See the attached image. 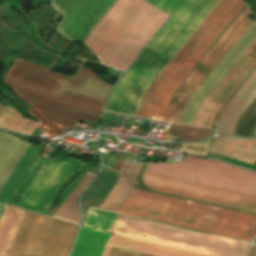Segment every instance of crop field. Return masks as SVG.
I'll list each match as a JSON object with an SVG mask.
<instances>
[{
	"label": "crop field",
	"instance_id": "obj_1",
	"mask_svg": "<svg viewBox=\"0 0 256 256\" xmlns=\"http://www.w3.org/2000/svg\"><path fill=\"white\" fill-rule=\"evenodd\" d=\"M3 81L31 106L37 129L57 136L80 119L96 122L111 87L88 69L70 79L18 58Z\"/></svg>",
	"mask_w": 256,
	"mask_h": 256
},
{
	"label": "crop field",
	"instance_id": "obj_2",
	"mask_svg": "<svg viewBox=\"0 0 256 256\" xmlns=\"http://www.w3.org/2000/svg\"><path fill=\"white\" fill-rule=\"evenodd\" d=\"M156 192L256 213V173L187 155L176 164L148 163L142 175Z\"/></svg>",
	"mask_w": 256,
	"mask_h": 256
},
{
	"label": "crop field",
	"instance_id": "obj_3",
	"mask_svg": "<svg viewBox=\"0 0 256 256\" xmlns=\"http://www.w3.org/2000/svg\"><path fill=\"white\" fill-rule=\"evenodd\" d=\"M118 213L252 241L256 216L132 189Z\"/></svg>",
	"mask_w": 256,
	"mask_h": 256
},
{
	"label": "crop field",
	"instance_id": "obj_4",
	"mask_svg": "<svg viewBox=\"0 0 256 256\" xmlns=\"http://www.w3.org/2000/svg\"><path fill=\"white\" fill-rule=\"evenodd\" d=\"M250 12L246 6L206 57L201 61L189 78L174 95L162 121L178 123L189 99L225 57L233 45L251 25L244 18ZM243 55V54H242ZM243 57L256 61V39ZM241 57L222 82L201 106L192 125L210 128L215 115L240 81L253 68L256 62ZM242 82V81H241ZM191 100V99H190Z\"/></svg>",
	"mask_w": 256,
	"mask_h": 256
},
{
	"label": "crop field",
	"instance_id": "obj_5",
	"mask_svg": "<svg viewBox=\"0 0 256 256\" xmlns=\"http://www.w3.org/2000/svg\"><path fill=\"white\" fill-rule=\"evenodd\" d=\"M245 5L241 0H220L148 88L135 116L162 120L176 89Z\"/></svg>",
	"mask_w": 256,
	"mask_h": 256
},
{
	"label": "crop field",
	"instance_id": "obj_6",
	"mask_svg": "<svg viewBox=\"0 0 256 256\" xmlns=\"http://www.w3.org/2000/svg\"><path fill=\"white\" fill-rule=\"evenodd\" d=\"M165 18L141 0H117L85 42L104 64L125 70Z\"/></svg>",
	"mask_w": 256,
	"mask_h": 256
},
{
	"label": "crop field",
	"instance_id": "obj_7",
	"mask_svg": "<svg viewBox=\"0 0 256 256\" xmlns=\"http://www.w3.org/2000/svg\"><path fill=\"white\" fill-rule=\"evenodd\" d=\"M77 228L7 206L0 221V256H68Z\"/></svg>",
	"mask_w": 256,
	"mask_h": 256
},
{
	"label": "crop field",
	"instance_id": "obj_8",
	"mask_svg": "<svg viewBox=\"0 0 256 256\" xmlns=\"http://www.w3.org/2000/svg\"><path fill=\"white\" fill-rule=\"evenodd\" d=\"M114 236L204 256H245L249 243L176 229L118 215L109 230Z\"/></svg>",
	"mask_w": 256,
	"mask_h": 256
},
{
	"label": "crop field",
	"instance_id": "obj_9",
	"mask_svg": "<svg viewBox=\"0 0 256 256\" xmlns=\"http://www.w3.org/2000/svg\"><path fill=\"white\" fill-rule=\"evenodd\" d=\"M219 0H186L146 51L171 59Z\"/></svg>",
	"mask_w": 256,
	"mask_h": 256
},
{
	"label": "crop field",
	"instance_id": "obj_10",
	"mask_svg": "<svg viewBox=\"0 0 256 256\" xmlns=\"http://www.w3.org/2000/svg\"><path fill=\"white\" fill-rule=\"evenodd\" d=\"M51 1L54 7L62 11L65 16L59 28L61 33L70 39L81 41H84L94 24L114 2V0Z\"/></svg>",
	"mask_w": 256,
	"mask_h": 256
},
{
	"label": "crop field",
	"instance_id": "obj_11",
	"mask_svg": "<svg viewBox=\"0 0 256 256\" xmlns=\"http://www.w3.org/2000/svg\"><path fill=\"white\" fill-rule=\"evenodd\" d=\"M255 98L256 68L220 111L215 121L219 129L218 134L232 135L240 117Z\"/></svg>",
	"mask_w": 256,
	"mask_h": 256
},
{
	"label": "crop field",
	"instance_id": "obj_12",
	"mask_svg": "<svg viewBox=\"0 0 256 256\" xmlns=\"http://www.w3.org/2000/svg\"><path fill=\"white\" fill-rule=\"evenodd\" d=\"M209 152L254 164L256 160V141L217 137Z\"/></svg>",
	"mask_w": 256,
	"mask_h": 256
},
{
	"label": "crop field",
	"instance_id": "obj_13",
	"mask_svg": "<svg viewBox=\"0 0 256 256\" xmlns=\"http://www.w3.org/2000/svg\"><path fill=\"white\" fill-rule=\"evenodd\" d=\"M142 167L143 164L133 165L126 163L117 183L106 197L100 208L116 212L123 200L131 191Z\"/></svg>",
	"mask_w": 256,
	"mask_h": 256
},
{
	"label": "crop field",
	"instance_id": "obj_14",
	"mask_svg": "<svg viewBox=\"0 0 256 256\" xmlns=\"http://www.w3.org/2000/svg\"><path fill=\"white\" fill-rule=\"evenodd\" d=\"M110 235L82 226L72 256H101Z\"/></svg>",
	"mask_w": 256,
	"mask_h": 256
},
{
	"label": "crop field",
	"instance_id": "obj_15",
	"mask_svg": "<svg viewBox=\"0 0 256 256\" xmlns=\"http://www.w3.org/2000/svg\"><path fill=\"white\" fill-rule=\"evenodd\" d=\"M107 245L122 248V249H127V250L138 251V252H142V253H146L154 256H199L195 254H190L186 252H181L177 250H172L168 248H163V247L136 242L132 240H127L123 238H118L114 236H111Z\"/></svg>",
	"mask_w": 256,
	"mask_h": 256
},
{
	"label": "crop field",
	"instance_id": "obj_16",
	"mask_svg": "<svg viewBox=\"0 0 256 256\" xmlns=\"http://www.w3.org/2000/svg\"><path fill=\"white\" fill-rule=\"evenodd\" d=\"M92 178L93 177L88 173L86 174V176L81 180V182L59 207L54 217L76 223L80 222V212L78 210L76 200Z\"/></svg>",
	"mask_w": 256,
	"mask_h": 256
},
{
	"label": "crop field",
	"instance_id": "obj_17",
	"mask_svg": "<svg viewBox=\"0 0 256 256\" xmlns=\"http://www.w3.org/2000/svg\"><path fill=\"white\" fill-rule=\"evenodd\" d=\"M40 148L30 145L24 156L22 157L21 161L3 186L2 190L0 191V203L5 204L8 197L16 187L17 183L25 173L26 169L34 159L35 155L39 151Z\"/></svg>",
	"mask_w": 256,
	"mask_h": 256
},
{
	"label": "crop field",
	"instance_id": "obj_18",
	"mask_svg": "<svg viewBox=\"0 0 256 256\" xmlns=\"http://www.w3.org/2000/svg\"><path fill=\"white\" fill-rule=\"evenodd\" d=\"M255 133H256V99L241 117L233 135L253 138Z\"/></svg>",
	"mask_w": 256,
	"mask_h": 256
},
{
	"label": "crop field",
	"instance_id": "obj_19",
	"mask_svg": "<svg viewBox=\"0 0 256 256\" xmlns=\"http://www.w3.org/2000/svg\"><path fill=\"white\" fill-rule=\"evenodd\" d=\"M116 216V213L92 209L83 225L108 232Z\"/></svg>",
	"mask_w": 256,
	"mask_h": 256
},
{
	"label": "crop field",
	"instance_id": "obj_20",
	"mask_svg": "<svg viewBox=\"0 0 256 256\" xmlns=\"http://www.w3.org/2000/svg\"><path fill=\"white\" fill-rule=\"evenodd\" d=\"M168 132L178 135L180 137V141H195L215 133V131L212 130L198 129L180 125H174L173 128L170 127Z\"/></svg>",
	"mask_w": 256,
	"mask_h": 256
},
{
	"label": "crop field",
	"instance_id": "obj_21",
	"mask_svg": "<svg viewBox=\"0 0 256 256\" xmlns=\"http://www.w3.org/2000/svg\"><path fill=\"white\" fill-rule=\"evenodd\" d=\"M8 104L0 111V127L15 131L25 120Z\"/></svg>",
	"mask_w": 256,
	"mask_h": 256
},
{
	"label": "crop field",
	"instance_id": "obj_22",
	"mask_svg": "<svg viewBox=\"0 0 256 256\" xmlns=\"http://www.w3.org/2000/svg\"><path fill=\"white\" fill-rule=\"evenodd\" d=\"M148 2H150L151 4L155 5L156 7L160 8L161 10L165 11L168 14H172L173 11L179 6V4L183 1V0H146ZM145 1V2H146ZM147 2V3H148ZM148 3V4H150ZM150 4V5H151ZM152 5V6H153ZM153 6V7H155ZM155 7V8H156ZM156 8V9H158ZM160 9H158L159 11H161ZM161 11L162 13L166 14L165 12ZM175 12V11H174ZM166 14L167 16H170Z\"/></svg>",
	"mask_w": 256,
	"mask_h": 256
},
{
	"label": "crop field",
	"instance_id": "obj_23",
	"mask_svg": "<svg viewBox=\"0 0 256 256\" xmlns=\"http://www.w3.org/2000/svg\"><path fill=\"white\" fill-rule=\"evenodd\" d=\"M39 123L31 120V119H26L21 126L16 130L17 132L25 133V134H30L32 129L36 127Z\"/></svg>",
	"mask_w": 256,
	"mask_h": 256
},
{
	"label": "crop field",
	"instance_id": "obj_24",
	"mask_svg": "<svg viewBox=\"0 0 256 256\" xmlns=\"http://www.w3.org/2000/svg\"><path fill=\"white\" fill-rule=\"evenodd\" d=\"M139 254L140 253H135V252L120 249L117 256H139Z\"/></svg>",
	"mask_w": 256,
	"mask_h": 256
},
{
	"label": "crop field",
	"instance_id": "obj_25",
	"mask_svg": "<svg viewBox=\"0 0 256 256\" xmlns=\"http://www.w3.org/2000/svg\"><path fill=\"white\" fill-rule=\"evenodd\" d=\"M123 164H124V161L118 160L113 170L119 172L121 170Z\"/></svg>",
	"mask_w": 256,
	"mask_h": 256
},
{
	"label": "crop field",
	"instance_id": "obj_26",
	"mask_svg": "<svg viewBox=\"0 0 256 256\" xmlns=\"http://www.w3.org/2000/svg\"><path fill=\"white\" fill-rule=\"evenodd\" d=\"M111 248H112V247L106 246L102 256H109V253H110V251H111Z\"/></svg>",
	"mask_w": 256,
	"mask_h": 256
},
{
	"label": "crop field",
	"instance_id": "obj_27",
	"mask_svg": "<svg viewBox=\"0 0 256 256\" xmlns=\"http://www.w3.org/2000/svg\"><path fill=\"white\" fill-rule=\"evenodd\" d=\"M255 247H256L255 245H252V246H251V248H250V250H249V252H248L247 256H252V254H253V252H254Z\"/></svg>",
	"mask_w": 256,
	"mask_h": 256
},
{
	"label": "crop field",
	"instance_id": "obj_28",
	"mask_svg": "<svg viewBox=\"0 0 256 256\" xmlns=\"http://www.w3.org/2000/svg\"><path fill=\"white\" fill-rule=\"evenodd\" d=\"M118 250H119V249H117V248H112V251H111L110 256H116L117 253H118Z\"/></svg>",
	"mask_w": 256,
	"mask_h": 256
},
{
	"label": "crop field",
	"instance_id": "obj_29",
	"mask_svg": "<svg viewBox=\"0 0 256 256\" xmlns=\"http://www.w3.org/2000/svg\"><path fill=\"white\" fill-rule=\"evenodd\" d=\"M6 206L0 205V219Z\"/></svg>",
	"mask_w": 256,
	"mask_h": 256
},
{
	"label": "crop field",
	"instance_id": "obj_30",
	"mask_svg": "<svg viewBox=\"0 0 256 256\" xmlns=\"http://www.w3.org/2000/svg\"><path fill=\"white\" fill-rule=\"evenodd\" d=\"M253 256H256V249H255V252H254Z\"/></svg>",
	"mask_w": 256,
	"mask_h": 256
},
{
	"label": "crop field",
	"instance_id": "obj_31",
	"mask_svg": "<svg viewBox=\"0 0 256 256\" xmlns=\"http://www.w3.org/2000/svg\"><path fill=\"white\" fill-rule=\"evenodd\" d=\"M140 256H149V255L140 254Z\"/></svg>",
	"mask_w": 256,
	"mask_h": 256
},
{
	"label": "crop field",
	"instance_id": "obj_32",
	"mask_svg": "<svg viewBox=\"0 0 256 256\" xmlns=\"http://www.w3.org/2000/svg\"><path fill=\"white\" fill-rule=\"evenodd\" d=\"M254 138H256V135H255V137Z\"/></svg>",
	"mask_w": 256,
	"mask_h": 256
},
{
	"label": "crop field",
	"instance_id": "obj_33",
	"mask_svg": "<svg viewBox=\"0 0 256 256\" xmlns=\"http://www.w3.org/2000/svg\"><path fill=\"white\" fill-rule=\"evenodd\" d=\"M145 1V0H144Z\"/></svg>",
	"mask_w": 256,
	"mask_h": 256
}]
</instances>
